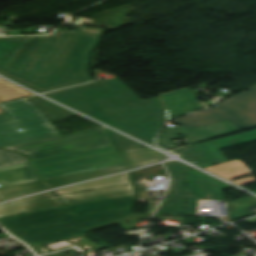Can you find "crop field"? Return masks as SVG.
Returning <instances> with one entry per match:
<instances>
[{
	"instance_id": "crop-field-23",
	"label": "crop field",
	"mask_w": 256,
	"mask_h": 256,
	"mask_svg": "<svg viewBox=\"0 0 256 256\" xmlns=\"http://www.w3.org/2000/svg\"><path fill=\"white\" fill-rule=\"evenodd\" d=\"M106 132L108 133L113 146L116 150H120V149H127V148H135V147H142L143 145L129 139L126 138L122 135H119L117 133H114L108 129H105Z\"/></svg>"
},
{
	"instance_id": "crop-field-5",
	"label": "crop field",
	"mask_w": 256,
	"mask_h": 256,
	"mask_svg": "<svg viewBox=\"0 0 256 256\" xmlns=\"http://www.w3.org/2000/svg\"><path fill=\"white\" fill-rule=\"evenodd\" d=\"M45 179L126 165L112 145L33 162Z\"/></svg>"
},
{
	"instance_id": "crop-field-22",
	"label": "crop field",
	"mask_w": 256,
	"mask_h": 256,
	"mask_svg": "<svg viewBox=\"0 0 256 256\" xmlns=\"http://www.w3.org/2000/svg\"><path fill=\"white\" fill-rule=\"evenodd\" d=\"M32 94L0 79V100L3 102L10 101Z\"/></svg>"
},
{
	"instance_id": "crop-field-20",
	"label": "crop field",
	"mask_w": 256,
	"mask_h": 256,
	"mask_svg": "<svg viewBox=\"0 0 256 256\" xmlns=\"http://www.w3.org/2000/svg\"><path fill=\"white\" fill-rule=\"evenodd\" d=\"M129 183H131L130 176H129V174H127V175H122V176H118V177H113V178H109V179H105V180H100V181H96V182H91V183L63 189L60 191H56V193L58 195H62V194L73 193L76 191H83V190H87V189H97V188H101V187H105V186H121V185L129 184Z\"/></svg>"
},
{
	"instance_id": "crop-field-12",
	"label": "crop field",
	"mask_w": 256,
	"mask_h": 256,
	"mask_svg": "<svg viewBox=\"0 0 256 256\" xmlns=\"http://www.w3.org/2000/svg\"><path fill=\"white\" fill-rule=\"evenodd\" d=\"M168 168L172 183L155 215H180L185 205V185L183 170L190 168L179 162L165 164Z\"/></svg>"
},
{
	"instance_id": "crop-field-27",
	"label": "crop field",
	"mask_w": 256,
	"mask_h": 256,
	"mask_svg": "<svg viewBox=\"0 0 256 256\" xmlns=\"http://www.w3.org/2000/svg\"><path fill=\"white\" fill-rule=\"evenodd\" d=\"M233 182L238 184V185H240V186H242V185H245V184H248V183L255 182V179L253 178V176H251V177L235 180Z\"/></svg>"
},
{
	"instance_id": "crop-field-6",
	"label": "crop field",
	"mask_w": 256,
	"mask_h": 256,
	"mask_svg": "<svg viewBox=\"0 0 256 256\" xmlns=\"http://www.w3.org/2000/svg\"><path fill=\"white\" fill-rule=\"evenodd\" d=\"M110 144L104 129L98 128L70 136H60L7 147L6 149L26 154L31 157L32 161H35Z\"/></svg>"
},
{
	"instance_id": "crop-field-13",
	"label": "crop field",
	"mask_w": 256,
	"mask_h": 256,
	"mask_svg": "<svg viewBox=\"0 0 256 256\" xmlns=\"http://www.w3.org/2000/svg\"><path fill=\"white\" fill-rule=\"evenodd\" d=\"M63 206L64 205L60 202V200L53 194V192H51L0 205V217L20 214L24 211L29 213Z\"/></svg>"
},
{
	"instance_id": "crop-field-25",
	"label": "crop field",
	"mask_w": 256,
	"mask_h": 256,
	"mask_svg": "<svg viewBox=\"0 0 256 256\" xmlns=\"http://www.w3.org/2000/svg\"><path fill=\"white\" fill-rule=\"evenodd\" d=\"M150 216H145V215H134V214H131L129 217L125 218V219H120V220H117V221H114V222H111V223H108V224H105V225H102V226H98V227H95V228H92V229H89V230H94V229H98V228H101V227H105L109 224H114V223H119L123 220H133V219H149Z\"/></svg>"
},
{
	"instance_id": "crop-field-16",
	"label": "crop field",
	"mask_w": 256,
	"mask_h": 256,
	"mask_svg": "<svg viewBox=\"0 0 256 256\" xmlns=\"http://www.w3.org/2000/svg\"><path fill=\"white\" fill-rule=\"evenodd\" d=\"M61 133L56 128L55 125L31 130L19 134H14L6 137L0 138V147H7L12 145H17L21 143L46 139L50 137L60 136Z\"/></svg>"
},
{
	"instance_id": "crop-field-26",
	"label": "crop field",
	"mask_w": 256,
	"mask_h": 256,
	"mask_svg": "<svg viewBox=\"0 0 256 256\" xmlns=\"http://www.w3.org/2000/svg\"><path fill=\"white\" fill-rule=\"evenodd\" d=\"M45 54H42V57L40 58V60L38 61L39 63L43 64L40 68H38L34 74H38V75H45L46 73V68H47V63L43 62V58H44Z\"/></svg>"
},
{
	"instance_id": "crop-field-21",
	"label": "crop field",
	"mask_w": 256,
	"mask_h": 256,
	"mask_svg": "<svg viewBox=\"0 0 256 256\" xmlns=\"http://www.w3.org/2000/svg\"><path fill=\"white\" fill-rule=\"evenodd\" d=\"M34 104H36L42 111H44L50 121L67 119L74 116H77L59 106H56L44 99H41L37 96L28 98Z\"/></svg>"
},
{
	"instance_id": "crop-field-28",
	"label": "crop field",
	"mask_w": 256,
	"mask_h": 256,
	"mask_svg": "<svg viewBox=\"0 0 256 256\" xmlns=\"http://www.w3.org/2000/svg\"><path fill=\"white\" fill-rule=\"evenodd\" d=\"M21 33H22V31H12V30L9 31L10 35H14V34L21 35Z\"/></svg>"
},
{
	"instance_id": "crop-field-24",
	"label": "crop field",
	"mask_w": 256,
	"mask_h": 256,
	"mask_svg": "<svg viewBox=\"0 0 256 256\" xmlns=\"http://www.w3.org/2000/svg\"><path fill=\"white\" fill-rule=\"evenodd\" d=\"M29 159L18 153L0 150V167L28 162Z\"/></svg>"
},
{
	"instance_id": "crop-field-11",
	"label": "crop field",
	"mask_w": 256,
	"mask_h": 256,
	"mask_svg": "<svg viewBox=\"0 0 256 256\" xmlns=\"http://www.w3.org/2000/svg\"><path fill=\"white\" fill-rule=\"evenodd\" d=\"M240 131L237 127L233 126L229 122H221L218 124L210 125L200 129L189 131L181 126L171 130L167 127L163 128L157 138V145L166 148L174 149L177 146L171 141L172 139L179 138L181 134L186 136L191 143L231 134Z\"/></svg>"
},
{
	"instance_id": "crop-field-15",
	"label": "crop field",
	"mask_w": 256,
	"mask_h": 256,
	"mask_svg": "<svg viewBox=\"0 0 256 256\" xmlns=\"http://www.w3.org/2000/svg\"><path fill=\"white\" fill-rule=\"evenodd\" d=\"M135 194L132 185L60 196L67 206Z\"/></svg>"
},
{
	"instance_id": "crop-field-3",
	"label": "crop field",
	"mask_w": 256,
	"mask_h": 256,
	"mask_svg": "<svg viewBox=\"0 0 256 256\" xmlns=\"http://www.w3.org/2000/svg\"><path fill=\"white\" fill-rule=\"evenodd\" d=\"M130 215V208L72 217L66 207L0 218L8 231L30 245L86 233V229Z\"/></svg>"
},
{
	"instance_id": "crop-field-18",
	"label": "crop field",
	"mask_w": 256,
	"mask_h": 256,
	"mask_svg": "<svg viewBox=\"0 0 256 256\" xmlns=\"http://www.w3.org/2000/svg\"><path fill=\"white\" fill-rule=\"evenodd\" d=\"M135 195L127 196L122 198L110 199L105 201L93 202L88 204L70 206L69 209L73 213L82 214L94 211H101V210H109V209H117V208H125L129 207L132 204V201L135 200Z\"/></svg>"
},
{
	"instance_id": "crop-field-9",
	"label": "crop field",
	"mask_w": 256,
	"mask_h": 256,
	"mask_svg": "<svg viewBox=\"0 0 256 256\" xmlns=\"http://www.w3.org/2000/svg\"><path fill=\"white\" fill-rule=\"evenodd\" d=\"M254 141H256V130L219 139L212 142H214L219 149H222ZM212 142L204 143L189 148L179 149L173 152L179 154L180 158L188 162H191L195 165H198L202 168L208 167L215 163L226 162L225 158L222 156V154L219 152V150Z\"/></svg>"
},
{
	"instance_id": "crop-field-17",
	"label": "crop field",
	"mask_w": 256,
	"mask_h": 256,
	"mask_svg": "<svg viewBox=\"0 0 256 256\" xmlns=\"http://www.w3.org/2000/svg\"><path fill=\"white\" fill-rule=\"evenodd\" d=\"M39 180L30 162L0 168V183L5 185Z\"/></svg>"
},
{
	"instance_id": "crop-field-19",
	"label": "crop field",
	"mask_w": 256,
	"mask_h": 256,
	"mask_svg": "<svg viewBox=\"0 0 256 256\" xmlns=\"http://www.w3.org/2000/svg\"><path fill=\"white\" fill-rule=\"evenodd\" d=\"M205 169L227 180L250 175V172L246 165L239 160L222 163Z\"/></svg>"
},
{
	"instance_id": "crop-field-1",
	"label": "crop field",
	"mask_w": 256,
	"mask_h": 256,
	"mask_svg": "<svg viewBox=\"0 0 256 256\" xmlns=\"http://www.w3.org/2000/svg\"><path fill=\"white\" fill-rule=\"evenodd\" d=\"M100 35L55 31L49 36L0 38V73L43 93L91 81L90 53ZM47 53L45 77L34 75Z\"/></svg>"
},
{
	"instance_id": "crop-field-8",
	"label": "crop field",
	"mask_w": 256,
	"mask_h": 256,
	"mask_svg": "<svg viewBox=\"0 0 256 256\" xmlns=\"http://www.w3.org/2000/svg\"><path fill=\"white\" fill-rule=\"evenodd\" d=\"M6 113L0 114V137L52 125L36 105L26 98L0 104ZM22 131V132H23Z\"/></svg>"
},
{
	"instance_id": "crop-field-10",
	"label": "crop field",
	"mask_w": 256,
	"mask_h": 256,
	"mask_svg": "<svg viewBox=\"0 0 256 256\" xmlns=\"http://www.w3.org/2000/svg\"><path fill=\"white\" fill-rule=\"evenodd\" d=\"M188 200L182 215L195 216L196 197L224 201L221 190L231 186L194 169L186 171Z\"/></svg>"
},
{
	"instance_id": "crop-field-4",
	"label": "crop field",
	"mask_w": 256,
	"mask_h": 256,
	"mask_svg": "<svg viewBox=\"0 0 256 256\" xmlns=\"http://www.w3.org/2000/svg\"><path fill=\"white\" fill-rule=\"evenodd\" d=\"M249 91L218 103V108L203 110L172 122L190 130L221 121H229L240 129L256 127V85Z\"/></svg>"
},
{
	"instance_id": "crop-field-2",
	"label": "crop field",
	"mask_w": 256,
	"mask_h": 256,
	"mask_svg": "<svg viewBox=\"0 0 256 256\" xmlns=\"http://www.w3.org/2000/svg\"><path fill=\"white\" fill-rule=\"evenodd\" d=\"M46 96L151 144L165 122L159 97L142 101L117 78L59 90Z\"/></svg>"
},
{
	"instance_id": "crop-field-7",
	"label": "crop field",
	"mask_w": 256,
	"mask_h": 256,
	"mask_svg": "<svg viewBox=\"0 0 256 256\" xmlns=\"http://www.w3.org/2000/svg\"><path fill=\"white\" fill-rule=\"evenodd\" d=\"M118 152L126 161L127 166L110 168L106 170L89 172V173L69 175L64 177H58V178H54L46 181L21 184V185L10 186V187H2L0 188V201L13 198L16 196L24 195L36 190H40V189H44V188H48L56 185L66 184L70 182L80 181V180L108 174L111 172L127 169L130 167H134L142 164L152 163L154 161L162 160L166 158V156L158 152H155L147 147L120 150Z\"/></svg>"
},
{
	"instance_id": "crop-field-14",
	"label": "crop field",
	"mask_w": 256,
	"mask_h": 256,
	"mask_svg": "<svg viewBox=\"0 0 256 256\" xmlns=\"http://www.w3.org/2000/svg\"><path fill=\"white\" fill-rule=\"evenodd\" d=\"M187 89L162 95L168 112V120L204 108V106L197 103L194 93Z\"/></svg>"
}]
</instances>
